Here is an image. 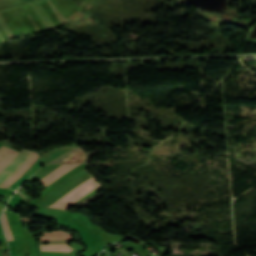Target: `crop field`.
<instances>
[{
    "instance_id": "crop-field-5",
    "label": "crop field",
    "mask_w": 256,
    "mask_h": 256,
    "mask_svg": "<svg viewBox=\"0 0 256 256\" xmlns=\"http://www.w3.org/2000/svg\"><path fill=\"white\" fill-rule=\"evenodd\" d=\"M42 251L70 252L73 250L68 244L45 245L41 246Z\"/></svg>"
},
{
    "instance_id": "crop-field-3",
    "label": "crop field",
    "mask_w": 256,
    "mask_h": 256,
    "mask_svg": "<svg viewBox=\"0 0 256 256\" xmlns=\"http://www.w3.org/2000/svg\"><path fill=\"white\" fill-rule=\"evenodd\" d=\"M87 181V180H86ZM100 186L95 179L92 177L87 182L81 184L80 186L74 188L53 205L49 206L50 208L62 209L65 210L77 200L82 198L84 195L89 193L94 188Z\"/></svg>"
},
{
    "instance_id": "crop-field-7",
    "label": "crop field",
    "mask_w": 256,
    "mask_h": 256,
    "mask_svg": "<svg viewBox=\"0 0 256 256\" xmlns=\"http://www.w3.org/2000/svg\"><path fill=\"white\" fill-rule=\"evenodd\" d=\"M18 152L10 149L9 152L0 160V171Z\"/></svg>"
},
{
    "instance_id": "crop-field-8",
    "label": "crop field",
    "mask_w": 256,
    "mask_h": 256,
    "mask_svg": "<svg viewBox=\"0 0 256 256\" xmlns=\"http://www.w3.org/2000/svg\"><path fill=\"white\" fill-rule=\"evenodd\" d=\"M2 224H3V228H4V231H5V234L7 236V240L8 241L13 240L12 234H11V230H10V227L8 225V221H7V217H6L5 212H4L3 217H2Z\"/></svg>"
},
{
    "instance_id": "crop-field-1",
    "label": "crop field",
    "mask_w": 256,
    "mask_h": 256,
    "mask_svg": "<svg viewBox=\"0 0 256 256\" xmlns=\"http://www.w3.org/2000/svg\"><path fill=\"white\" fill-rule=\"evenodd\" d=\"M33 151H20L0 173V187L8 185L35 157ZM38 158V156L6 187L13 184Z\"/></svg>"
},
{
    "instance_id": "crop-field-4",
    "label": "crop field",
    "mask_w": 256,
    "mask_h": 256,
    "mask_svg": "<svg viewBox=\"0 0 256 256\" xmlns=\"http://www.w3.org/2000/svg\"><path fill=\"white\" fill-rule=\"evenodd\" d=\"M80 164H68V165H62L52 171L50 174H48L46 177H44L40 182L45 184L46 186L52 183L54 180H56L58 177L63 175L64 173L72 170L73 168L77 167Z\"/></svg>"
},
{
    "instance_id": "crop-field-6",
    "label": "crop field",
    "mask_w": 256,
    "mask_h": 256,
    "mask_svg": "<svg viewBox=\"0 0 256 256\" xmlns=\"http://www.w3.org/2000/svg\"><path fill=\"white\" fill-rule=\"evenodd\" d=\"M44 234H45V236L58 234L59 239H72L70 235H68L64 232H45ZM58 237H57V235H54V236L39 237V238L41 239L40 241H45V240L58 239Z\"/></svg>"
},
{
    "instance_id": "crop-field-9",
    "label": "crop field",
    "mask_w": 256,
    "mask_h": 256,
    "mask_svg": "<svg viewBox=\"0 0 256 256\" xmlns=\"http://www.w3.org/2000/svg\"><path fill=\"white\" fill-rule=\"evenodd\" d=\"M9 148L2 146L0 148V159L8 152Z\"/></svg>"
},
{
    "instance_id": "crop-field-2",
    "label": "crop field",
    "mask_w": 256,
    "mask_h": 256,
    "mask_svg": "<svg viewBox=\"0 0 256 256\" xmlns=\"http://www.w3.org/2000/svg\"><path fill=\"white\" fill-rule=\"evenodd\" d=\"M92 176L88 174L85 170L77 173L70 179H68L66 182L49 192L43 199H41L36 205L37 206H43L47 207L51 203L58 200L60 197H62L64 194L69 192L71 189H73L75 186L85 182Z\"/></svg>"
}]
</instances>
